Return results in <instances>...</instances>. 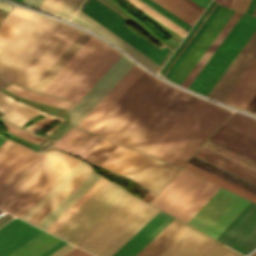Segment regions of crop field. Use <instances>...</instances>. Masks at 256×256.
I'll return each instance as SVG.
<instances>
[{"label": "crop field", "instance_id": "1", "mask_svg": "<svg viewBox=\"0 0 256 256\" xmlns=\"http://www.w3.org/2000/svg\"><path fill=\"white\" fill-rule=\"evenodd\" d=\"M157 80L144 71L90 132L105 137ZM195 99L158 80L106 138L146 153Z\"/></svg>", "mask_w": 256, "mask_h": 256}, {"label": "crop field", "instance_id": "2", "mask_svg": "<svg viewBox=\"0 0 256 256\" xmlns=\"http://www.w3.org/2000/svg\"><path fill=\"white\" fill-rule=\"evenodd\" d=\"M158 211L108 181L53 234L111 256Z\"/></svg>", "mask_w": 256, "mask_h": 256}, {"label": "crop field", "instance_id": "3", "mask_svg": "<svg viewBox=\"0 0 256 256\" xmlns=\"http://www.w3.org/2000/svg\"><path fill=\"white\" fill-rule=\"evenodd\" d=\"M81 33L34 14L0 50V77L30 89Z\"/></svg>", "mask_w": 256, "mask_h": 256}, {"label": "crop field", "instance_id": "4", "mask_svg": "<svg viewBox=\"0 0 256 256\" xmlns=\"http://www.w3.org/2000/svg\"><path fill=\"white\" fill-rule=\"evenodd\" d=\"M230 114L197 98L147 154L182 166Z\"/></svg>", "mask_w": 256, "mask_h": 256}, {"label": "crop field", "instance_id": "5", "mask_svg": "<svg viewBox=\"0 0 256 256\" xmlns=\"http://www.w3.org/2000/svg\"><path fill=\"white\" fill-rule=\"evenodd\" d=\"M120 55L92 37L41 92L77 102Z\"/></svg>", "mask_w": 256, "mask_h": 256}, {"label": "crop field", "instance_id": "6", "mask_svg": "<svg viewBox=\"0 0 256 256\" xmlns=\"http://www.w3.org/2000/svg\"><path fill=\"white\" fill-rule=\"evenodd\" d=\"M218 189L181 169L150 204L187 223Z\"/></svg>", "mask_w": 256, "mask_h": 256}, {"label": "crop field", "instance_id": "7", "mask_svg": "<svg viewBox=\"0 0 256 256\" xmlns=\"http://www.w3.org/2000/svg\"><path fill=\"white\" fill-rule=\"evenodd\" d=\"M73 158L64 154L27 190H25L12 204H10L5 209V211L19 217L56 181H58L71 167H73L78 162V160ZM86 166V164L79 161L42 197H40L27 211H25L20 216V218L28 221Z\"/></svg>", "mask_w": 256, "mask_h": 256}, {"label": "crop field", "instance_id": "8", "mask_svg": "<svg viewBox=\"0 0 256 256\" xmlns=\"http://www.w3.org/2000/svg\"><path fill=\"white\" fill-rule=\"evenodd\" d=\"M255 29L256 17L243 14L189 89L207 96Z\"/></svg>", "mask_w": 256, "mask_h": 256}, {"label": "crop field", "instance_id": "9", "mask_svg": "<svg viewBox=\"0 0 256 256\" xmlns=\"http://www.w3.org/2000/svg\"><path fill=\"white\" fill-rule=\"evenodd\" d=\"M87 1L88 0L84 1V3L82 4L79 10L82 11ZM99 1L89 0L82 12H84L85 14H87L88 16H90L100 24H102L104 27H106L107 29H109L110 31L118 35L120 38H122L123 40H125L126 42L134 46L135 48H137L139 51H141L143 54H145L147 57H149L158 65L170 50L169 53L166 55V57L163 59V61L159 65L162 67V65L165 63V61L167 60V58L169 57V55L172 53L173 50H171L170 48H168L167 46H165L164 44H162L161 42L153 38L151 35L143 31L141 28H139L138 26H136L135 24H133L132 22H130L128 19L124 17L126 20L129 21V22H126L125 24H128V23L133 24L135 27L143 31L145 34L153 38L155 41L162 44L163 46L160 48L158 47L159 49L162 50L165 47L169 49L167 50L165 48L162 51L159 50L157 47H155L156 45L155 46L152 45L147 40H145L140 35H138L136 32H134L129 27H127L125 24H123L122 22H125L126 20L122 18L123 17L122 15H121L122 17L119 16L120 14L118 12L114 10L119 15L116 14L114 11H112L113 10L112 8H111L112 10L109 9L110 8L109 6H108L109 8L106 7L107 5L105 3L104 4L106 6L102 4L103 3L102 1H101L102 3Z\"/></svg>", "mask_w": 256, "mask_h": 256}, {"label": "crop field", "instance_id": "10", "mask_svg": "<svg viewBox=\"0 0 256 256\" xmlns=\"http://www.w3.org/2000/svg\"><path fill=\"white\" fill-rule=\"evenodd\" d=\"M248 203L220 188L187 224L215 239Z\"/></svg>", "mask_w": 256, "mask_h": 256}, {"label": "crop field", "instance_id": "11", "mask_svg": "<svg viewBox=\"0 0 256 256\" xmlns=\"http://www.w3.org/2000/svg\"><path fill=\"white\" fill-rule=\"evenodd\" d=\"M62 155L56 150L36 153L0 186V208L4 210Z\"/></svg>", "mask_w": 256, "mask_h": 256}, {"label": "crop field", "instance_id": "12", "mask_svg": "<svg viewBox=\"0 0 256 256\" xmlns=\"http://www.w3.org/2000/svg\"><path fill=\"white\" fill-rule=\"evenodd\" d=\"M133 65V63L121 55L69 111L72 124L77 126Z\"/></svg>", "mask_w": 256, "mask_h": 256}, {"label": "crop field", "instance_id": "13", "mask_svg": "<svg viewBox=\"0 0 256 256\" xmlns=\"http://www.w3.org/2000/svg\"><path fill=\"white\" fill-rule=\"evenodd\" d=\"M216 240L243 254L256 247V204L250 202Z\"/></svg>", "mask_w": 256, "mask_h": 256}, {"label": "crop field", "instance_id": "14", "mask_svg": "<svg viewBox=\"0 0 256 256\" xmlns=\"http://www.w3.org/2000/svg\"><path fill=\"white\" fill-rule=\"evenodd\" d=\"M160 256H242L199 231L189 228Z\"/></svg>", "mask_w": 256, "mask_h": 256}, {"label": "crop field", "instance_id": "15", "mask_svg": "<svg viewBox=\"0 0 256 256\" xmlns=\"http://www.w3.org/2000/svg\"><path fill=\"white\" fill-rule=\"evenodd\" d=\"M233 13L234 10L227 9L222 6L196 43L169 77V80L181 85Z\"/></svg>", "mask_w": 256, "mask_h": 256}, {"label": "crop field", "instance_id": "16", "mask_svg": "<svg viewBox=\"0 0 256 256\" xmlns=\"http://www.w3.org/2000/svg\"><path fill=\"white\" fill-rule=\"evenodd\" d=\"M179 168L142 154L123 176L158 192Z\"/></svg>", "mask_w": 256, "mask_h": 256}, {"label": "crop field", "instance_id": "17", "mask_svg": "<svg viewBox=\"0 0 256 256\" xmlns=\"http://www.w3.org/2000/svg\"><path fill=\"white\" fill-rule=\"evenodd\" d=\"M255 57L256 30L208 94V97L223 102Z\"/></svg>", "mask_w": 256, "mask_h": 256}, {"label": "crop field", "instance_id": "18", "mask_svg": "<svg viewBox=\"0 0 256 256\" xmlns=\"http://www.w3.org/2000/svg\"><path fill=\"white\" fill-rule=\"evenodd\" d=\"M118 147L102 139L85 159L101 166ZM138 153L120 146L102 166L122 175L141 155Z\"/></svg>", "mask_w": 256, "mask_h": 256}, {"label": "crop field", "instance_id": "19", "mask_svg": "<svg viewBox=\"0 0 256 256\" xmlns=\"http://www.w3.org/2000/svg\"><path fill=\"white\" fill-rule=\"evenodd\" d=\"M173 219L159 211L112 256H135Z\"/></svg>", "mask_w": 256, "mask_h": 256}, {"label": "crop field", "instance_id": "20", "mask_svg": "<svg viewBox=\"0 0 256 256\" xmlns=\"http://www.w3.org/2000/svg\"><path fill=\"white\" fill-rule=\"evenodd\" d=\"M143 71L144 70L134 65L113 87V89L99 102V104L84 118L78 127L89 131Z\"/></svg>", "mask_w": 256, "mask_h": 256}, {"label": "crop field", "instance_id": "21", "mask_svg": "<svg viewBox=\"0 0 256 256\" xmlns=\"http://www.w3.org/2000/svg\"><path fill=\"white\" fill-rule=\"evenodd\" d=\"M71 22L80 25L82 27H85L87 29H90L97 34L101 35L108 41L112 42L113 44L120 47L122 50H124L126 53L131 55L133 58H135L137 61H139L141 64L149 68L151 71L156 72L160 70L161 67H159L157 64H155L153 61H151L149 58H147L145 55H143L141 52L130 46L128 43L117 37L115 34L92 20L90 17L82 13L78 10V12L75 14V16L72 18Z\"/></svg>", "mask_w": 256, "mask_h": 256}, {"label": "crop field", "instance_id": "22", "mask_svg": "<svg viewBox=\"0 0 256 256\" xmlns=\"http://www.w3.org/2000/svg\"><path fill=\"white\" fill-rule=\"evenodd\" d=\"M219 9L220 6L211 2V4L208 6V8L205 10L202 16L196 22L194 27L191 29V31L179 45L177 50L174 52V54L171 56V58L168 60L165 66L162 68L161 71L163 73H165L169 77V75L172 73V71L175 69V67L178 65V63L181 61V59L184 57V55L187 53V51L190 49V47L193 45V43L196 41V39L199 37V35L202 33V31L205 29V27L208 25V23L211 21V19L214 17V15L217 13ZM163 73L162 75L165 78H168Z\"/></svg>", "mask_w": 256, "mask_h": 256}, {"label": "crop field", "instance_id": "23", "mask_svg": "<svg viewBox=\"0 0 256 256\" xmlns=\"http://www.w3.org/2000/svg\"><path fill=\"white\" fill-rule=\"evenodd\" d=\"M41 230L15 218L0 229V256H6Z\"/></svg>", "mask_w": 256, "mask_h": 256}, {"label": "crop field", "instance_id": "24", "mask_svg": "<svg viewBox=\"0 0 256 256\" xmlns=\"http://www.w3.org/2000/svg\"><path fill=\"white\" fill-rule=\"evenodd\" d=\"M36 152L10 140L0 146V185Z\"/></svg>", "mask_w": 256, "mask_h": 256}, {"label": "crop field", "instance_id": "25", "mask_svg": "<svg viewBox=\"0 0 256 256\" xmlns=\"http://www.w3.org/2000/svg\"><path fill=\"white\" fill-rule=\"evenodd\" d=\"M101 177L95 175L93 171L82 180L64 199H62L36 226L46 230L54 223L66 210H68L80 197H82Z\"/></svg>", "mask_w": 256, "mask_h": 256}, {"label": "crop field", "instance_id": "26", "mask_svg": "<svg viewBox=\"0 0 256 256\" xmlns=\"http://www.w3.org/2000/svg\"><path fill=\"white\" fill-rule=\"evenodd\" d=\"M101 138L90 133L71 127L56 143L52 146L85 157Z\"/></svg>", "mask_w": 256, "mask_h": 256}, {"label": "crop field", "instance_id": "27", "mask_svg": "<svg viewBox=\"0 0 256 256\" xmlns=\"http://www.w3.org/2000/svg\"><path fill=\"white\" fill-rule=\"evenodd\" d=\"M256 94V58L224 102L245 109Z\"/></svg>", "mask_w": 256, "mask_h": 256}, {"label": "crop field", "instance_id": "28", "mask_svg": "<svg viewBox=\"0 0 256 256\" xmlns=\"http://www.w3.org/2000/svg\"><path fill=\"white\" fill-rule=\"evenodd\" d=\"M188 228L189 226L174 219L136 256H159Z\"/></svg>", "mask_w": 256, "mask_h": 256}, {"label": "crop field", "instance_id": "29", "mask_svg": "<svg viewBox=\"0 0 256 256\" xmlns=\"http://www.w3.org/2000/svg\"><path fill=\"white\" fill-rule=\"evenodd\" d=\"M210 140L256 162V143L224 127H220Z\"/></svg>", "mask_w": 256, "mask_h": 256}, {"label": "crop field", "instance_id": "30", "mask_svg": "<svg viewBox=\"0 0 256 256\" xmlns=\"http://www.w3.org/2000/svg\"><path fill=\"white\" fill-rule=\"evenodd\" d=\"M91 37L83 32L31 89L40 92Z\"/></svg>", "mask_w": 256, "mask_h": 256}, {"label": "crop field", "instance_id": "31", "mask_svg": "<svg viewBox=\"0 0 256 256\" xmlns=\"http://www.w3.org/2000/svg\"><path fill=\"white\" fill-rule=\"evenodd\" d=\"M241 15H242V13L235 11V13L232 15V17L229 19V21L224 26V28L221 30V32L218 34V36L215 38L213 43L210 45V47L204 53L202 58L199 60V62L193 68L191 73L189 72L190 74L185 79V81L182 83V86L188 88V86L191 84V82L194 80V78L197 76V74L200 72V70L203 68V66L206 64V62L209 60V58L212 56V54L215 52V50L221 44L223 39L226 37V35L229 33V31L232 29V27L235 25V23L241 17Z\"/></svg>", "mask_w": 256, "mask_h": 256}, {"label": "crop field", "instance_id": "32", "mask_svg": "<svg viewBox=\"0 0 256 256\" xmlns=\"http://www.w3.org/2000/svg\"><path fill=\"white\" fill-rule=\"evenodd\" d=\"M60 240L42 231L8 256H39Z\"/></svg>", "mask_w": 256, "mask_h": 256}, {"label": "crop field", "instance_id": "33", "mask_svg": "<svg viewBox=\"0 0 256 256\" xmlns=\"http://www.w3.org/2000/svg\"><path fill=\"white\" fill-rule=\"evenodd\" d=\"M33 13L14 8L0 25V49L26 23Z\"/></svg>", "mask_w": 256, "mask_h": 256}, {"label": "crop field", "instance_id": "34", "mask_svg": "<svg viewBox=\"0 0 256 256\" xmlns=\"http://www.w3.org/2000/svg\"><path fill=\"white\" fill-rule=\"evenodd\" d=\"M189 25L195 22L201 12L183 0H153Z\"/></svg>", "mask_w": 256, "mask_h": 256}, {"label": "crop field", "instance_id": "35", "mask_svg": "<svg viewBox=\"0 0 256 256\" xmlns=\"http://www.w3.org/2000/svg\"><path fill=\"white\" fill-rule=\"evenodd\" d=\"M91 171L92 170L88 165L82 172H80L67 186H65L51 201H49L28 222L35 225L43 216H45L63 197H65Z\"/></svg>", "mask_w": 256, "mask_h": 256}, {"label": "crop field", "instance_id": "36", "mask_svg": "<svg viewBox=\"0 0 256 256\" xmlns=\"http://www.w3.org/2000/svg\"><path fill=\"white\" fill-rule=\"evenodd\" d=\"M195 156L256 184V175H253V174H251L237 166H234L218 157H215L201 149L198 150V152L195 154Z\"/></svg>", "mask_w": 256, "mask_h": 256}, {"label": "crop field", "instance_id": "37", "mask_svg": "<svg viewBox=\"0 0 256 256\" xmlns=\"http://www.w3.org/2000/svg\"><path fill=\"white\" fill-rule=\"evenodd\" d=\"M183 168L256 203L255 195H253L237 186H234V185H232L214 175H211V174H209V173H207L189 163H187Z\"/></svg>", "mask_w": 256, "mask_h": 256}, {"label": "crop field", "instance_id": "38", "mask_svg": "<svg viewBox=\"0 0 256 256\" xmlns=\"http://www.w3.org/2000/svg\"><path fill=\"white\" fill-rule=\"evenodd\" d=\"M5 89H7V90H9L13 93H16V94H18V95H20V96H22L26 99H30V100H34V101H38V102H42V103H46V104L66 108V109H68L70 107V105L73 103V102H70V101H66V100H62V99H58V98H54V97L34 93V92H31V91L26 90L24 88H21L19 86H16L14 84H11L10 86L6 87Z\"/></svg>", "mask_w": 256, "mask_h": 256}, {"label": "crop field", "instance_id": "39", "mask_svg": "<svg viewBox=\"0 0 256 256\" xmlns=\"http://www.w3.org/2000/svg\"><path fill=\"white\" fill-rule=\"evenodd\" d=\"M224 125L256 140V120L234 112Z\"/></svg>", "mask_w": 256, "mask_h": 256}, {"label": "crop field", "instance_id": "40", "mask_svg": "<svg viewBox=\"0 0 256 256\" xmlns=\"http://www.w3.org/2000/svg\"><path fill=\"white\" fill-rule=\"evenodd\" d=\"M203 147L256 171V163L255 162H253L245 157H242L228 149H225L209 140L203 145Z\"/></svg>", "mask_w": 256, "mask_h": 256}, {"label": "crop field", "instance_id": "41", "mask_svg": "<svg viewBox=\"0 0 256 256\" xmlns=\"http://www.w3.org/2000/svg\"><path fill=\"white\" fill-rule=\"evenodd\" d=\"M106 182L107 180L102 178L82 198H80L68 211H66L54 224H52L47 229V231L52 233L58 226H60L72 213H74L86 200H88Z\"/></svg>", "mask_w": 256, "mask_h": 256}, {"label": "crop field", "instance_id": "42", "mask_svg": "<svg viewBox=\"0 0 256 256\" xmlns=\"http://www.w3.org/2000/svg\"><path fill=\"white\" fill-rule=\"evenodd\" d=\"M0 110L5 113L0 118L16 124L20 127H22L29 119L33 118L8 107L2 102H0Z\"/></svg>", "mask_w": 256, "mask_h": 256}, {"label": "crop field", "instance_id": "43", "mask_svg": "<svg viewBox=\"0 0 256 256\" xmlns=\"http://www.w3.org/2000/svg\"><path fill=\"white\" fill-rule=\"evenodd\" d=\"M0 101L8 104L9 106H11V107H13V108H15L17 110H20V111H22V112H24L26 114H29V115H31L33 117H35V116H37L39 114H42L45 117L49 115V114H46V113H44L42 111H39V110H37L35 108L27 106V105H25L23 103L15 101V100L7 97L6 95H4L2 92H0Z\"/></svg>", "mask_w": 256, "mask_h": 256}, {"label": "crop field", "instance_id": "44", "mask_svg": "<svg viewBox=\"0 0 256 256\" xmlns=\"http://www.w3.org/2000/svg\"><path fill=\"white\" fill-rule=\"evenodd\" d=\"M81 2L82 0H64L55 14L70 19Z\"/></svg>", "mask_w": 256, "mask_h": 256}, {"label": "crop field", "instance_id": "45", "mask_svg": "<svg viewBox=\"0 0 256 256\" xmlns=\"http://www.w3.org/2000/svg\"><path fill=\"white\" fill-rule=\"evenodd\" d=\"M141 1H143L144 3H146L147 5H149L150 7H152L153 9H155L156 11L164 15L165 17L169 18L170 20H172L173 22H175L185 30L188 31L189 28L191 27L185 22H183L182 20H180L179 18H177L176 16H174L173 14H171L170 12H168L167 10H165L164 8H162L161 6H159L158 4H156L155 2H153L152 0H141Z\"/></svg>", "mask_w": 256, "mask_h": 256}, {"label": "crop field", "instance_id": "46", "mask_svg": "<svg viewBox=\"0 0 256 256\" xmlns=\"http://www.w3.org/2000/svg\"><path fill=\"white\" fill-rule=\"evenodd\" d=\"M4 122V121H3ZM8 132L18 136V137H21L27 141H31V142H35V143H38L40 144L45 138L43 137H39V136H35V135H32L24 130H21L15 126H12L6 122H4Z\"/></svg>", "mask_w": 256, "mask_h": 256}, {"label": "crop field", "instance_id": "47", "mask_svg": "<svg viewBox=\"0 0 256 256\" xmlns=\"http://www.w3.org/2000/svg\"><path fill=\"white\" fill-rule=\"evenodd\" d=\"M55 121L61 122L62 119H58V118H55V117L50 115V116H48V117H46V118H44V119H42L38 122L26 127L25 129L30 130V131L35 133L36 131H39L40 129L46 127L47 125H49V124H51ZM55 127L52 128L51 130H49L48 132H46L44 135L48 136L55 129Z\"/></svg>", "mask_w": 256, "mask_h": 256}, {"label": "crop field", "instance_id": "48", "mask_svg": "<svg viewBox=\"0 0 256 256\" xmlns=\"http://www.w3.org/2000/svg\"><path fill=\"white\" fill-rule=\"evenodd\" d=\"M62 1L63 0H45L43 4L40 6V9L54 14V12L56 11V9Z\"/></svg>", "mask_w": 256, "mask_h": 256}, {"label": "crop field", "instance_id": "49", "mask_svg": "<svg viewBox=\"0 0 256 256\" xmlns=\"http://www.w3.org/2000/svg\"><path fill=\"white\" fill-rule=\"evenodd\" d=\"M250 0H232L229 8L245 12Z\"/></svg>", "mask_w": 256, "mask_h": 256}, {"label": "crop field", "instance_id": "50", "mask_svg": "<svg viewBox=\"0 0 256 256\" xmlns=\"http://www.w3.org/2000/svg\"><path fill=\"white\" fill-rule=\"evenodd\" d=\"M75 246L67 243L64 246H62L60 249H58L57 251H55L54 253H52L49 256H63L65 255L67 252H69L70 250H72Z\"/></svg>", "mask_w": 256, "mask_h": 256}, {"label": "crop field", "instance_id": "51", "mask_svg": "<svg viewBox=\"0 0 256 256\" xmlns=\"http://www.w3.org/2000/svg\"><path fill=\"white\" fill-rule=\"evenodd\" d=\"M130 3H132L133 5H135L136 7L140 8L141 10H143L144 12H146L147 14H149L150 16H152L153 18L157 19L158 21H160L161 23H163L164 25H166L167 27H169L170 29H172L173 31L177 32L178 34H180L181 36H185L182 33H180L179 31H177L176 29H174L173 27H171L170 25H168L167 23H165L164 21H162L161 19H159L158 17H156L155 15L151 14L150 12H148L147 10H145L144 8H142L141 6H139L138 4H136L135 2H133L132 0H127ZM176 33V34H177Z\"/></svg>", "mask_w": 256, "mask_h": 256}, {"label": "crop field", "instance_id": "52", "mask_svg": "<svg viewBox=\"0 0 256 256\" xmlns=\"http://www.w3.org/2000/svg\"><path fill=\"white\" fill-rule=\"evenodd\" d=\"M136 1L139 2L140 4L144 5L145 7H147L148 9H150L151 11H153L154 13H156L157 15H159L160 17H162L163 19H165L166 21H168L169 23H171L172 25H174L175 27H177L178 29H180L184 33H187V31H185L184 29H182L181 27H179L178 25H176L175 23H173L169 19L165 18L164 16H162L161 14H159L158 12H156L155 10H153L152 8H150L149 6H147L146 4L141 2L140 0H136Z\"/></svg>", "mask_w": 256, "mask_h": 256}, {"label": "crop field", "instance_id": "53", "mask_svg": "<svg viewBox=\"0 0 256 256\" xmlns=\"http://www.w3.org/2000/svg\"><path fill=\"white\" fill-rule=\"evenodd\" d=\"M201 149H203V150H205V151H207V152H209V153H211V154H213V155H215V156H218V157H220V158H222V159H224V160H226V161H228V162H230V163H232V164H234V165H237V166H239V167H241V168H243V169H245V170H247V171H249V172H251V173L256 174V172H254V171H252V170H250V169H248V168H245V167H243V166H241V165H239V164H237V163H235V162H233V161H230V160H228V159H226V158H224V157H222V156H220V155H218V154H215V153H213V152H211V151H209V150H207V149H205V148H203V147H201ZM254 174H253V175H254Z\"/></svg>", "mask_w": 256, "mask_h": 256}, {"label": "crop field", "instance_id": "54", "mask_svg": "<svg viewBox=\"0 0 256 256\" xmlns=\"http://www.w3.org/2000/svg\"><path fill=\"white\" fill-rule=\"evenodd\" d=\"M65 241H60L58 244H56L55 246H53L52 248H50L48 251H46L45 253H43L41 256H48L49 254H51L52 252H54L55 250H57L58 248H60L62 245H64Z\"/></svg>", "mask_w": 256, "mask_h": 256}, {"label": "crop field", "instance_id": "55", "mask_svg": "<svg viewBox=\"0 0 256 256\" xmlns=\"http://www.w3.org/2000/svg\"><path fill=\"white\" fill-rule=\"evenodd\" d=\"M65 256H90L78 249H73L71 252H69L68 254H66Z\"/></svg>", "mask_w": 256, "mask_h": 256}, {"label": "crop field", "instance_id": "56", "mask_svg": "<svg viewBox=\"0 0 256 256\" xmlns=\"http://www.w3.org/2000/svg\"><path fill=\"white\" fill-rule=\"evenodd\" d=\"M246 110L256 114V95L252 99V101L249 103V105L246 107Z\"/></svg>", "mask_w": 256, "mask_h": 256}, {"label": "crop field", "instance_id": "57", "mask_svg": "<svg viewBox=\"0 0 256 256\" xmlns=\"http://www.w3.org/2000/svg\"><path fill=\"white\" fill-rule=\"evenodd\" d=\"M22 1L39 8V6L42 4L44 0H22Z\"/></svg>", "mask_w": 256, "mask_h": 256}, {"label": "crop field", "instance_id": "58", "mask_svg": "<svg viewBox=\"0 0 256 256\" xmlns=\"http://www.w3.org/2000/svg\"><path fill=\"white\" fill-rule=\"evenodd\" d=\"M192 1L198 4L199 6H201L202 8H205V6L208 4L210 0H192Z\"/></svg>", "mask_w": 256, "mask_h": 256}, {"label": "crop field", "instance_id": "59", "mask_svg": "<svg viewBox=\"0 0 256 256\" xmlns=\"http://www.w3.org/2000/svg\"><path fill=\"white\" fill-rule=\"evenodd\" d=\"M256 6V0H251L250 4H249V7L247 9V13H251L253 12L254 8Z\"/></svg>", "mask_w": 256, "mask_h": 256}, {"label": "crop field", "instance_id": "60", "mask_svg": "<svg viewBox=\"0 0 256 256\" xmlns=\"http://www.w3.org/2000/svg\"><path fill=\"white\" fill-rule=\"evenodd\" d=\"M14 6L3 4L0 2V10L9 12Z\"/></svg>", "mask_w": 256, "mask_h": 256}, {"label": "crop field", "instance_id": "61", "mask_svg": "<svg viewBox=\"0 0 256 256\" xmlns=\"http://www.w3.org/2000/svg\"><path fill=\"white\" fill-rule=\"evenodd\" d=\"M0 212H1V210H0ZM12 218V216H10V215H5L4 217H2V218H0V226L2 225V224H4L5 222H7L9 219H11ZM10 221V220H9ZM3 226V225H2Z\"/></svg>", "mask_w": 256, "mask_h": 256}, {"label": "crop field", "instance_id": "62", "mask_svg": "<svg viewBox=\"0 0 256 256\" xmlns=\"http://www.w3.org/2000/svg\"><path fill=\"white\" fill-rule=\"evenodd\" d=\"M155 194L151 193V192H147V194L144 196V198L142 200L148 202Z\"/></svg>", "mask_w": 256, "mask_h": 256}, {"label": "crop field", "instance_id": "63", "mask_svg": "<svg viewBox=\"0 0 256 256\" xmlns=\"http://www.w3.org/2000/svg\"><path fill=\"white\" fill-rule=\"evenodd\" d=\"M184 1H186L187 3H189L190 5H192L193 7H195L196 9H198L201 12L204 10V9H202L201 7H199L198 5H196L195 3H193L190 0H184Z\"/></svg>", "mask_w": 256, "mask_h": 256}, {"label": "crop field", "instance_id": "64", "mask_svg": "<svg viewBox=\"0 0 256 256\" xmlns=\"http://www.w3.org/2000/svg\"><path fill=\"white\" fill-rule=\"evenodd\" d=\"M216 1L222 3V4L226 5V6H229L231 0H216Z\"/></svg>", "mask_w": 256, "mask_h": 256}, {"label": "crop field", "instance_id": "65", "mask_svg": "<svg viewBox=\"0 0 256 256\" xmlns=\"http://www.w3.org/2000/svg\"><path fill=\"white\" fill-rule=\"evenodd\" d=\"M7 84H9L8 82L2 81L0 80V89L4 86H6Z\"/></svg>", "mask_w": 256, "mask_h": 256}, {"label": "crop field", "instance_id": "66", "mask_svg": "<svg viewBox=\"0 0 256 256\" xmlns=\"http://www.w3.org/2000/svg\"><path fill=\"white\" fill-rule=\"evenodd\" d=\"M6 140V138L0 136V145Z\"/></svg>", "mask_w": 256, "mask_h": 256}, {"label": "crop field", "instance_id": "67", "mask_svg": "<svg viewBox=\"0 0 256 256\" xmlns=\"http://www.w3.org/2000/svg\"><path fill=\"white\" fill-rule=\"evenodd\" d=\"M5 16V14L0 13V21Z\"/></svg>", "mask_w": 256, "mask_h": 256}, {"label": "crop field", "instance_id": "68", "mask_svg": "<svg viewBox=\"0 0 256 256\" xmlns=\"http://www.w3.org/2000/svg\"><path fill=\"white\" fill-rule=\"evenodd\" d=\"M252 254V253H251ZM250 256H256V251L252 254V255H250Z\"/></svg>", "mask_w": 256, "mask_h": 256}, {"label": "crop field", "instance_id": "69", "mask_svg": "<svg viewBox=\"0 0 256 256\" xmlns=\"http://www.w3.org/2000/svg\"><path fill=\"white\" fill-rule=\"evenodd\" d=\"M254 14H256V9H255V11H254Z\"/></svg>", "mask_w": 256, "mask_h": 256}]
</instances>
